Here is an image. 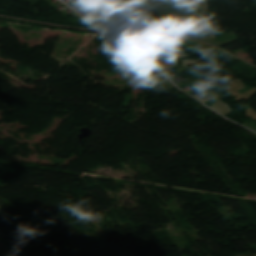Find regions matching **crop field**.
I'll use <instances>...</instances> for the list:
<instances>
[{"label": "crop field", "mask_w": 256, "mask_h": 256, "mask_svg": "<svg viewBox=\"0 0 256 256\" xmlns=\"http://www.w3.org/2000/svg\"><path fill=\"white\" fill-rule=\"evenodd\" d=\"M165 16L167 23L172 26L174 33L177 29L181 28L177 15V0H166Z\"/></svg>", "instance_id": "obj_1"}, {"label": "crop field", "mask_w": 256, "mask_h": 256, "mask_svg": "<svg viewBox=\"0 0 256 256\" xmlns=\"http://www.w3.org/2000/svg\"><path fill=\"white\" fill-rule=\"evenodd\" d=\"M182 35L183 36H190V37L197 38V39L214 37L213 36V29L211 28V26L196 29V30H192V31H188V32H186Z\"/></svg>", "instance_id": "obj_2"}, {"label": "crop field", "mask_w": 256, "mask_h": 256, "mask_svg": "<svg viewBox=\"0 0 256 256\" xmlns=\"http://www.w3.org/2000/svg\"><path fill=\"white\" fill-rule=\"evenodd\" d=\"M217 96L218 95L215 92L211 91V92H209V93H207L205 95L198 94V95H196L194 97L197 98L198 100L204 102V101H206L208 99H211V98H214V97H217Z\"/></svg>", "instance_id": "obj_3"}, {"label": "crop field", "mask_w": 256, "mask_h": 256, "mask_svg": "<svg viewBox=\"0 0 256 256\" xmlns=\"http://www.w3.org/2000/svg\"><path fill=\"white\" fill-rule=\"evenodd\" d=\"M198 2H199V5L201 7V10H202L204 16H206L208 14V10H209L206 0H198Z\"/></svg>", "instance_id": "obj_4"}, {"label": "crop field", "mask_w": 256, "mask_h": 256, "mask_svg": "<svg viewBox=\"0 0 256 256\" xmlns=\"http://www.w3.org/2000/svg\"><path fill=\"white\" fill-rule=\"evenodd\" d=\"M237 256H254L250 251L245 252L243 254L237 255Z\"/></svg>", "instance_id": "obj_5"}, {"label": "crop field", "mask_w": 256, "mask_h": 256, "mask_svg": "<svg viewBox=\"0 0 256 256\" xmlns=\"http://www.w3.org/2000/svg\"><path fill=\"white\" fill-rule=\"evenodd\" d=\"M256 256V255H255Z\"/></svg>", "instance_id": "obj_6"}]
</instances>
